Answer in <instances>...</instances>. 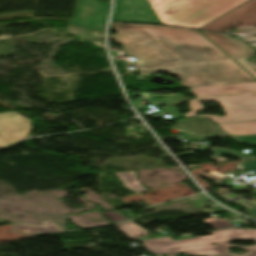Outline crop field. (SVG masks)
Returning a JSON list of instances; mask_svg holds the SVG:
<instances>
[{"mask_svg": "<svg viewBox=\"0 0 256 256\" xmlns=\"http://www.w3.org/2000/svg\"><path fill=\"white\" fill-rule=\"evenodd\" d=\"M111 27L118 33L110 37L137 59L133 65L143 73L181 72L182 84L189 88L256 81L198 31L119 23ZM201 32L256 77V66L243 60L256 53L244 42Z\"/></svg>", "mask_w": 256, "mask_h": 256, "instance_id": "crop-field-1", "label": "crop field"}, {"mask_svg": "<svg viewBox=\"0 0 256 256\" xmlns=\"http://www.w3.org/2000/svg\"><path fill=\"white\" fill-rule=\"evenodd\" d=\"M230 240H256V230L236 228L212 232V236L193 237L191 234L183 235L178 241L172 238L144 241V247L158 255L188 253L195 256H217L229 254L227 248L241 247L229 245ZM216 243L211 246L210 244ZM243 250H256V246L241 247Z\"/></svg>", "mask_w": 256, "mask_h": 256, "instance_id": "crop-field-2", "label": "crop field"}, {"mask_svg": "<svg viewBox=\"0 0 256 256\" xmlns=\"http://www.w3.org/2000/svg\"><path fill=\"white\" fill-rule=\"evenodd\" d=\"M165 25L198 29L248 0H148Z\"/></svg>", "mask_w": 256, "mask_h": 256, "instance_id": "crop-field-3", "label": "crop field"}, {"mask_svg": "<svg viewBox=\"0 0 256 256\" xmlns=\"http://www.w3.org/2000/svg\"><path fill=\"white\" fill-rule=\"evenodd\" d=\"M199 101H217L225 109V117H217L211 115L195 116L196 112L203 109V106L199 105ZM189 108L191 112L186 113L185 116L189 117H209L216 124L223 123H235L245 121L256 120V94H243V95H232L225 97H214V98H200L191 101Z\"/></svg>", "mask_w": 256, "mask_h": 256, "instance_id": "crop-field-4", "label": "crop field"}, {"mask_svg": "<svg viewBox=\"0 0 256 256\" xmlns=\"http://www.w3.org/2000/svg\"><path fill=\"white\" fill-rule=\"evenodd\" d=\"M110 5L99 0H78L74 18L69 22L67 34L81 38L103 37V26Z\"/></svg>", "mask_w": 256, "mask_h": 256, "instance_id": "crop-field-5", "label": "crop field"}, {"mask_svg": "<svg viewBox=\"0 0 256 256\" xmlns=\"http://www.w3.org/2000/svg\"><path fill=\"white\" fill-rule=\"evenodd\" d=\"M233 28L256 35V0L247 2L201 29L226 33Z\"/></svg>", "mask_w": 256, "mask_h": 256, "instance_id": "crop-field-6", "label": "crop field"}, {"mask_svg": "<svg viewBox=\"0 0 256 256\" xmlns=\"http://www.w3.org/2000/svg\"><path fill=\"white\" fill-rule=\"evenodd\" d=\"M31 131L30 119L15 111L0 113V149L26 138Z\"/></svg>", "mask_w": 256, "mask_h": 256, "instance_id": "crop-field-7", "label": "crop field"}, {"mask_svg": "<svg viewBox=\"0 0 256 256\" xmlns=\"http://www.w3.org/2000/svg\"><path fill=\"white\" fill-rule=\"evenodd\" d=\"M112 21L159 24L146 0H116Z\"/></svg>", "mask_w": 256, "mask_h": 256, "instance_id": "crop-field-8", "label": "crop field"}, {"mask_svg": "<svg viewBox=\"0 0 256 256\" xmlns=\"http://www.w3.org/2000/svg\"><path fill=\"white\" fill-rule=\"evenodd\" d=\"M198 97L256 92V82L190 89Z\"/></svg>", "mask_w": 256, "mask_h": 256, "instance_id": "crop-field-9", "label": "crop field"}, {"mask_svg": "<svg viewBox=\"0 0 256 256\" xmlns=\"http://www.w3.org/2000/svg\"><path fill=\"white\" fill-rule=\"evenodd\" d=\"M43 225L35 226L28 224L14 225L12 230L24 231V232H34V233H50L61 231L60 227L53 223V220L43 221Z\"/></svg>", "mask_w": 256, "mask_h": 256, "instance_id": "crop-field-10", "label": "crop field"}, {"mask_svg": "<svg viewBox=\"0 0 256 256\" xmlns=\"http://www.w3.org/2000/svg\"><path fill=\"white\" fill-rule=\"evenodd\" d=\"M221 129L231 135L256 134V121L218 125Z\"/></svg>", "mask_w": 256, "mask_h": 256, "instance_id": "crop-field-11", "label": "crop field"}, {"mask_svg": "<svg viewBox=\"0 0 256 256\" xmlns=\"http://www.w3.org/2000/svg\"><path fill=\"white\" fill-rule=\"evenodd\" d=\"M116 176L124 183V185L127 188H129L137 193H141V192L147 190L146 188H144L138 184L136 175H135V171L116 173Z\"/></svg>", "mask_w": 256, "mask_h": 256, "instance_id": "crop-field-12", "label": "crop field"}, {"mask_svg": "<svg viewBox=\"0 0 256 256\" xmlns=\"http://www.w3.org/2000/svg\"><path fill=\"white\" fill-rule=\"evenodd\" d=\"M118 229L119 231L125 233L132 240L140 236L148 235L149 233L136 225L121 226V227H118ZM126 231L129 233H127Z\"/></svg>", "mask_w": 256, "mask_h": 256, "instance_id": "crop-field-13", "label": "crop field"}, {"mask_svg": "<svg viewBox=\"0 0 256 256\" xmlns=\"http://www.w3.org/2000/svg\"><path fill=\"white\" fill-rule=\"evenodd\" d=\"M214 153V155L211 157L212 159L216 160V161H219V162H227V160L223 159L222 157H220L221 154H230L236 158H239V159H249V158H254V157H251V156H247V155H239V154H236L232 151H228V150H220V149H211Z\"/></svg>", "mask_w": 256, "mask_h": 256, "instance_id": "crop-field-14", "label": "crop field"}, {"mask_svg": "<svg viewBox=\"0 0 256 256\" xmlns=\"http://www.w3.org/2000/svg\"><path fill=\"white\" fill-rule=\"evenodd\" d=\"M205 224L210 225L214 229L233 226L227 220L219 218L207 219L205 220Z\"/></svg>", "mask_w": 256, "mask_h": 256, "instance_id": "crop-field-15", "label": "crop field"}, {"mask_svg": "<svg viewBox=\"0 0 256 256\" xmlns=\"http://www.w3.org/2000/svg\"><path fill=\"white\" fill-rule=\"evenodd\" d=\"M238 168L252 170L256 172V160L240 161L237 164Z\"/></svg>", "mask_w": 256, "mask_h": 256, "instance_id": "crop-field-16", "label": "crop field"}, {"mask_svg": "<svg viewBox=\"0 0 256 256\" xmlns=\"http://www.w3.org/2000/svg\"><path fill=\"white\" fill-rule=\"evenodd\" d=\"M234 139L235 141L242 143H250V144H255L256 145V135H249V136H237V137H230Z\"/></svg>", "mask_w": 256, "mask_h": 256, "instance_id": "crop-field-17", "label": "crop field"}, {"mask_svg": "<svg viewBox=\"0 0 256 256\" xmlns=\"http://www.w3.org/2000/svg\"><path fill=\"white\" fill-rule=\"evenodd\" d=\"M198 175H201V176H204V177H207L209 179H212L214 181H216L217 183H220L222 182V180L227 177V176H224L222 174H218V173H215V172H211L210 174H207V173H198ZM219 176V177H216V176Z\"/></svg>", "mask_w": 256, "mask_h": 256, "instance_id": "crop-field-18", "label": "crop field"}, {"mask_svg": "<svg viewBox=\"0 0 256 256\" xmlns=\"http://www.w3.org/2000/svg\"><path fill=\"white\" fill-rule=\"evenodd\" d=\"M103 215L106 216L113 223L126 219L124 216L120 215L116 211L115 212H110V213H104Z\"/></svg>", "mask_w": 256, "mask_h": 256, "instance_id": "crop-field-19", "label": "crop field"}, {"mask_svg": "<svg viewBox=\"0 0 256 256\" xmlns=\"http://www.w3.org/2000/svg\"><path fill=\"white\" fill-rule=\"evenodd\" d=\"M218 193H220V194H222V195L230 194V192H229L228 189H221V190H218Z\"/></svg>", "mask_w": 256, "mask_h": 256, "instance_id": "crop-field-20", "label": "crop field"}, {"mask_svg": "<svg viewBox=\"0 0 256 256\" xmlns=\"http://www.w3.org/2000/svg\"><path fill=\"white\" fill-rule=\"evenodd\" d=\"M249 253H250V255H245V256H256V251H252ZM225 256H238V255L230 254V255H225Z\"/></svg>", "mask_w": 256, "mask_h": 256, "instance_id": "crop-field-21", "label": "crop field"}, {"mask_svg": "<svg viewBox=\"0 0 256 256\" xmlns=\"http://www.w3.org/2000/svg\"><path fill=\"white\" fill-rule=\"evenodd\" d=\"M255 209H256V208H253V209H250V210H249L251 216L254 217V218H256V210H255ZM251 211H252L253 213H251Z\"/></svg>", "mask_w": 256, "mask_h": 256, "instance_id": "crop-field-22", "label": "crop field"}, {"mask_svg": "<svg viewBox=\"0 0 256 256\" xmlns=\"http://www.w3.org/2000/svg\"><path fill=\"white\" fill-rule=\"evenodd\" d=\"M245 38L246 39H254V40H256V37L254 35H249V34H246Z\"/></svg>", "mask_w": 256, "mask_h": 256, "instance_id": "crop-field-23", "label": "crop field"}, {"mask_svg": "<svg viewBox=\"0 0 256 256\" xmlns=\"http://www.w3.org/2000/svg\"><path fill=\"white\" fill-rule=\"evenodd\" d=\"M131 224H134V223H132L131 221H128V222H125V223H122V224H118L117 226H121V225H131Z\"/></svg>", "mask_w": 256, "mask_h": 256, "instance_id": "crop-field-24", "label": "crop field"}, {"mask_svg": "<svg viewBox=\"0 0 256 256\" xmlns=\"http://www.w3.org/2000/svg\"><path fill=\"white\" fill-rule=\"evenodd\" d=\"M243 41H245L243 38H242ZM246 42V41H245ZM247 43V42H246ZM248 44V43H247ZM249 45V44H248Z\"/></svg>", "mask_w": 256, "mask_h": 256, "instance_id": "crop-field-25", "label": "crop field"}]
</instances>
